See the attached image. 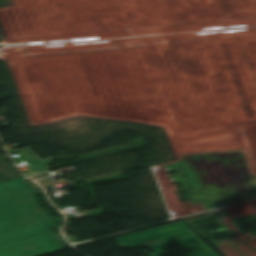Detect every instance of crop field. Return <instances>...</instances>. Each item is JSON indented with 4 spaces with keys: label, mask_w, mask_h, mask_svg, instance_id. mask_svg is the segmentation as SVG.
<instances>
[{
    "label": "crop field",
    "mask_w": 256,
    "mask_h": 256,
    "mask_svg": "<svg viewBox=\"0 0 256 256\" xmlns=\"http://www.w3.org/2000/svg\"><path fill=\"white\" fill-rule=\"evenodd\" d=\"M114 239L123 247L146 246L158 252L148 256H217L182 221Z\"/></svg>",
    "instance_id": "crop-field-1"
},
{
    "label": "crop field",
    "mask_w": 256,
    "mask_h": 256,
    "mask_svg": "<svg viewBox=\"0 0 256 256\" xmlns=\"http://www.w3.org/2000/svg\"><path fill=\"white\" fill-rule=\"evenodd\" d=\"M34 194L36 189L24 178L0 184V232L54 227L33 200Z\"/></svg>",
    "instance_id": "crop-field-2"
},
{
    "label": "crop field",
    "mask_w": 256,
    "mask_h": 256,
    "mask_svg": "<svg viewBox=\"0 0 256 256\" xmlns=\"http://www.w3.org/2000/svg\"><path fill=\"white\" fill-rule=\"evenodd\" d=\"M62 249L48 229L0 233V256H38Z\"/></svg>",
    "instance_id": "crop-field-3"
},
{
    "label": "crop field",
    "mask_w": 256,
    "mask_h": 256,
    "mask_svg": "<svg viewBox=\"0 0 256 256\" xmlns=\"http://www.w3.org/2000/svg\"><path fill=\"white\" fill-rule=\"evenodd\" d=\"M29 148L11 150L9 151V153L16 151L20 155L18 157L13 158L14 162L27 159V158H29L32 161L34 165L31 166V168L34 172L26 173L25 175L30 176L38 173L47 172L48 171L47 168L49 167L47 165H50L51 163L49 161L40 160L38 157H36L32 152L28 150Z\"/></svg>",
    "instance_id": "crop-field-4"
},
{
    "label": "crop field",
    "mask_w": 256,
    "mask_h": 256,
    "mask_svg": "<svg viewBox=\"0 0 256 256\" xmlns=\"http://www.w3.org/2000/svg\"><path fill=\"white\" fill-rule=\"evenodd\" d=\"M18 178H22V176L16 173L12 168H9L0 156V183Z\"/></svg>",
    "instance_id": "crop-field-5"
}]
</instances>
